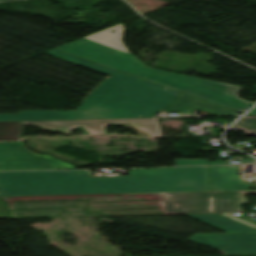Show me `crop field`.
I'll use <instances>...</instances> for the list:
<instances>
[{"label": "crop field", "instance_id": "obj_8", "mask_svg": "<svg viewBox=\"0 0 256 256\" xmlns=\"http://www.w3.org/2000/svg\"><path fill=\"white\" fill-rule=\"evenodd\" d=\"M212 191L247 190L248 184L242 183L236 175L237 166L210 167Z\"/></svg>", "mask_w": 256, "mask_h": 256}, {"label": "crop field", "instance_id": "obj_3", "mask_svg": "<svg viewBox=\"0 0 256 256\" xmlns=\"http://www.w3.org/2000/svg\"><path fill=\"white\" fill-rule=\"evenodd\" d=\"M124 22L55 48L174 91L243 113L253 103L238 98L241 86L151 68L123 44Z\"/></svg>", "mask_w": 256, "mask_h": 256}, {"label": "crop field", "instance_id": "obj_1", "mask_svg": "<svg viewBox=\"0 0 256 256\" xmlns=\"http://www.w3.org/2000/svg\"><path fill=\"white\" fill-rule=\"evenodd\" d=\"M88 171L0 173L2 196L209 191L207 167L130 170L129 177H87Z\"/></svg>", "mask_w": 256, "mask_h": 256}, {"label": "crop field", "instance_id": "obj_7", "mask_svg": "<svg viewBox=\"0 0 256 256\" xmlns=\"http://www.w3.org/2000/svg\"><path fill=\"white\" fill-rule=\"evenodd\" d=\"M75 168L51 156L38 155L22 142H0V171Z\"/></svg>", "mask_w": 256, "mask_h": 256}, {"label": "crop field", "instance_id": "obj_2", "mask_svg": "<svg viewBox=\"0 0 256 256\" xmlns=\"http://www.w3.org/2000/svg\"><path fill=\"white\" fill-rule=\"evenodd\" d=\"M110 75L76 111L0 115V121L154 117L180 93L52 49L44 52Z\"/></svg>", "mask_w": 256, "mask_h": 256}, {"label": "crop field", "instance_id": "obj_6", "mask_svg": "<svg viewBox=\"0 0 256 256\" xmlns=\"http://www.w3.org/2000/svg\"><path fill=\"white\" fill-rule=\"evenodd\" d=\"M69 134L77 126H82L90 134H106L104 128L110 123H129L136 129L153 137H162L157 118L61 120L21 122Z\"/></svg>", "mask_w": 256, "mask_h": 256}, {"label": "crop field", "instance_id": "obj_5", "mask_svg": "<svg viewBox=\"0 0 256 256\" xmlns=\"http://www.w3.org/2000/svg\"><path fill=\"white\" fill-rule=\"evenodd\" d=\"M165 214L241 212L244 191L161 193Z\"/></svg>", "mask_w": 256, "mask_h": 256}, {"label": "crop field", "instance_id": "obj_12", "mask_svg": "<svg viewBox=\"0 0 256 256\" xmlns=\"http://www.w3.org/2000/svg\"><path fill=\"white\" fill-rule=\"evenodd\" d=\"M256 163L255 159L240 161V164ZM230 164L229 162H207V160H176V166H192V165H221Z\"/></svg>", "mask_w": 256, "mask_h": 256}, {"label": "crop field", "instance_id": "obj_13", "mask_svg": "<svg viewBox=\"0 0 256 256\" xmlns=\"http://www.w3.org/2000/svg\"><path fill=\"white\" fill-rule=\"evenodd\" d=\"M219 215H222V216H225V217H227V218L233 219V220H235V221H238V222H240V223L246 224V225L251 226V227H253V228L256 229V225L251 224V223L246 222V221H243V220H241V219L235 218V217H233V216H231V215H229V214H219Z\"/></svg>", "mask_w": 256, "mask_h": 256}, {"label": "crop field", "instance_id": "obj_14", "mask_svg": "<svg viewBox=\"0 0 256 256\" xmlns=\"http://www.w3.org/2000/svg\"><path fill=\"white\" fill-rule=\"evenodd\" d=\"M249 114H256V107Z\"/></svg>", "mask_w": 256, "mask_h": 256}, {"label": "crop field", "instance_id": "obj_9", "mask_svg": "<svg viewBox=\"0 0 256 256\" xmlns=\"http://www.w3.org/2000/svg\"><path fill=\"white\" fill-rule=\"evenodd\" d=\"M175 109L205 110L215 115L236 114L235 111L219 107L183 94H181L172 103L161 110V112L168 113Z\"/></svg>", "mask_w": 256, "mask_h": 256}, {"label": "crop field", "instance_id": "obj_4", "mask_svg": "<svg viewBox=\"0 0 256 256\" xmlns=\"http://www.w3.org/2000/svg\"><path fill=\"white\" fill-rule=\"evenodd\" d=\"M228 234H195L187 241L210 247L222 254L256 253V230L217 214L185 215Z\"/></svg>", "mask_w": 256, "mask_h": 256}, {"label": "crop field", "instance_id": "obj_10", "mask_svg": "<svg viewBox=\"0 0 256 256\" xmlns=\"http://www.w3.org/2000/svg\"><path fill=\"white\" fill-rule=\"evenodd\" d=\"M21 134L20 122H0V140H19Z\"/></svg>", "mask_w": 256, "mask_h": 256}, {"label": "crop field", "instance_id": "obj_11", "mask_svg": "<svg viewBox=\"0 0 256 256\" xmlns=\"http://www.w3.org/2000/svg\"><path fill=\"white\" fill-rule=\"evenodd\" d=\"M234 126L240 128L249 135H256V116H244Z\"/></svg>", "mask_w": 256, "mask_h": 256}]
</instances>
